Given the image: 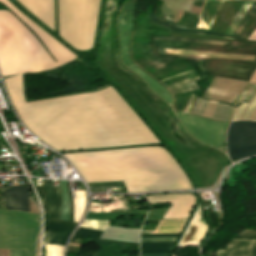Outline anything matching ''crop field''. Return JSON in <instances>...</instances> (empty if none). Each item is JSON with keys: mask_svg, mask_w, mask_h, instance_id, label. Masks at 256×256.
<instances>
[{"mask_svg": "<svg viewBox=\"0 0 256 256\" xmlns=\"http://www.w3.org/2000/svg\"><path fill=\"white\" fill-rule=\"evenodd\" d=\"M154 39L187 40V41H196V42L219 43V44H223V45L226 43V42L212 41V40H206V39H197V38L155 37Z\"/></svg>", "mask_w": 256, "mask_h": 256, "instance_id": "eef30255", "label": "crop field"}, {"mask_svg": "<svg viewBox=\"0 0 256 256\" xmlns=\"http://www.w3.org/2000/svg\"><path fill=\"white\" fill-rule=\"evenodd\" d=\"M177 236L141 238V241L175 240Z\"/></svg>", "mask_w": 256, "mask_h": 256, "instance_id": "bd1437ed", "label": "crop field"}, {"mask_svg": "<svg viewBox=\"0 0 256 256\" xmlns=\"http://www.w3.org/2000/svg\"><path fill=\"white\" fill-rule=\"evenodd\" d=\"M149 16H150V18H151V20L153 22L158 23L160 25H163L165 27H168V28L172 29V31L190 32V33H201V34L221 36V37H227V38H233L234 37V36H230V35L217 34V33H212V32H208V31H206V32H198V31H192V30H187V29H181V28L174 27L173 25H175V24L170 23V22H168L166 20H163V19H161L159 17L153 16V15H150V14H149ZM175 26H177V25H175ZM188 28H190V27H188Z\"/></svg>", "mask_w": 256, "mask_h": 256, "instance_id": "4a817a6b", "label": "crop field"}, {"mask_svg": "<svg viewBox=\"0 0 256 256\" xmlns=\"http://www.w3.org/2000/svg\"><path fill=\"white\" fill-rule=\"evenodd\" d=\"M225 78L220 77L217 84L213 88L212 92L209 95V98L214 99L215 95L217 94L219 88L221 87L222 83L224 82ZM235 80L226 78L225 82L223 83L221 89L219 90L218 94L216 95L215 99L224 100L225 96L229 92L230 88L234 84ZM247 82L236 80L235 84L231 88L230 92L225 98L227 102H233V100L238 96V94L244 89Z\"/></svg>", "mask_w": 256, "mask_h": 256, "instance_id": "d1516ede", "label": "crop field"}, {"mask_svg": "<svg viewBox=\"0 0 256 256\" xmlns=\"http://www.w3.org/2000/svg\"><path fill=\"white\" fill-rule=\"evenodd\" d=\"M102 231L89 228L80 227V229L74 234L75 237L84 238L86 236L99 238Z\"/></svg>", "mask_w": 256, "mask_h": 256, "instance_id": "a9b5d70f", "label": "crop field"}, {"mask_svg": "<svg viewBox=\"0 0 256 256\" xmlns=\"http://www.w3.org/2000/svg\"><path fill=\"white\" fill-rule=\"evenodd\" d=\"M219 77H214L211 85L209 86V88L207 89V91L205 92L204 96L208 97L209 93L211 92L212 88L214 87V85L216 84L217 80Z\"/></svg>", "mask_w": 256, "mask_h": 256, "instance_id": "d32e631a", "label": "crop field"}, {"mask_svg": "<svg viewBox=\"0 0 256 256\" xmlns=\"http://www.w3.org/2000/svg\"><path fill=\"white\" fill-rule=\"evenodd\" d=\"M64 155L87 182L123 180L128 192L192 188L168 151L158 146Z\"/></svg>", "mask_w": 256, "mask_h": 256, "instance_id": "ac0d7876", "label": "crop field"}, {"mask_svg": "<svg viewBox=\"0 0 256 256\" xmlns=\"http://www.w3.org/2000/svg\"><path fill=\"white\" fill-rule=\"evenodd\" d=\"M254 83V82H253ZM256 92V83H254L250 93L248 94V96L245 98V100L250 101V99L252 98V96L254 95V93Z\"/></svg>", "mask_w": 256, "mask_h": 256, "instance_id": "e1f06a70", "label": "crop field"}, {"mask_svg": "<svg viewBox=\"0 0 256 256\" xmlns=\"http://www.w3.org/2000/svg\"><path fill=\"white\" fill-rule=\"evenodd\" d=\"M256 120V119H255Z\"/></svg>", "mask_w": 256, "mask_h": 256, "instance_id": "1f2cbd36", "label": "crop field"}, {"mask_svg": "<svg viewBox=\"0 0 256 256\" xmlns=\"http://www.w3.org/2000/svg\"><path fill=\"white\" fill-rule=\"evenodd\" d=\"M146 197L151 204L171 203L164 218L188 217L195 204V196L190 193L148 195Z\"/></svg>", "mask_w": 256, "mask_h": 256, "instance_id": "d8731c3e", "label": "crop field"}, {"mask_svg": "<svg viewBox=\"0 0 256 256\" xmlns=\"http://www.w3.org/2000/svg\"><path fill=\"white\" fill-rule=\"evenodd\" d=\"M229 158L256 154V122L232 121L227 132Z\"/></svg>", "mask_w": 256, "mask_h": 256, "instance_id": "e52e79f7", "label": "crop field"}, {"mask_svg": "<svg viewBox=\"0 0 256 256\" xmlns=\"http://www.w3.org/2000/svg\"><path fill=\"white\" fill-rule=\"evenodd\" d=\"M255 116H256V108H255V110H254V112H253V114H252V116H251L250 119L254 120V119H255Z\"/></svg>", "mask_w": 256, "mask_h": 256, "instance_id": "5d738f31", "label": "crop field"}, {"mask_svg": "<svg viewBox=\"0 0 256 256\" xmlns=\"http://www.w3.org/2000/svg\"><path fill=\"white\" fill-rule=\"evenodd\" d=\"M251 80L256 82V72L254 73V75H253Z\"/></svg>", "mask_w": 256, "mask_h": 256, "instance_id": "25e5ab78", "label": "crop field"}, {"mask_svg": "<svg viewBox=\"0 0 256 256\" xmlns=\"http://www.w3.org/2000/svg\"><path fill=\"white\" fill-rule=\"evenodd\" d=\"M255 95H256V93H255ZM255 95H254V96H255ZM254 96H253V98H254ZM253 98H252V99H253ZM252 99H251V101H252ZM251 101H250V102H251ZM250 102L248 103V105L250 104ZM248 105L246 106L245 110L243 111V113H242V115H241L240 119L242 118V116H243L244 112L246 111V109H247Z\"/></svg>", "mask_w": 256, "mask_h": 256, "instance_id": "d23c7cc5", "label": "crop field"}, {"mask_svg": "<svg viewBox=\"0 0 256 256\" xmlns=\"http://www.w3.org/2000/svg\"><path fill=\"white\" fill-rule=\"evenodd\" d=\"M31 13L42 20L53 30L55 29L53 0H18Z\"/></svg>", "mask_w": 256, "mask_h": 256, "instance_id": "28ad6ade", "label": "crop field"}, {"mask_svg": "<svg viewBox=\"0 0 256 256\" xmlns=\"http://www.w3.org/2000/svg\"><path fill=\"white\" fill-rule=\"evenodd\" d=\"M216 103L217 102L210 100L203 114L212 117Z\"/></svg>", "mask_w": 256, "mask_h": 256, "instance_id": "750c4746", "label": "crop field"}, {"mask_svg": "<svg viewBox=\"0 0 256 256\" xmlns=\"http://www.w3.org/2000/svg\"><path fill=\"white\" fill-rule=\"evenodd\" d=\"M148 209H140V210H126V213H139L145 215ZM124 213V214H126Z\"/></svg>", "mask_w": 256, "mask_h": 256, "instance_id": "0bd39190", "label": "crop field"}, {"mask_svg": "<svg viewBox=\"0 0 256 256\" xmlns=\"http://www.w3.org/2000/svg\"><path fill=\"white\" fill-rule=\"evenodd\" d=\"M196 80H198L197 76L194 77V78L186 79L184 81L168 85L167 87L169 89L170 88H174V87H179V86H182V85H186V84H190V83H195L194 81H196ZM194 86H196V85L195 84H190V85L182 86V87L171 89V90L173 92V91H176V90H181V89H185V88H189V87H194ZM196 89H198V87H194V88H189V89L173 92V94H178V93L187 92V91L196 90Z\"/></svg>", "mask_w": 256, "mask_h": 256, "instance_id": "92a150f3", "label": "crop field"}, {"mask_svg": "<svg viewBox=\"0 0 256 256\" xmlns=\"http://www.w3.org/2000/svg\"><path fill=\"white\" fill-rule=\"evenodd\" d=\"M168 235H178V233H170V234H150V235H141V237H150V236H168Z\"/></svg>", "mask_w": 256, "mask_h": 256, "instance_id": "c035e120", "label": "crop field"}, {"mask_svg": "<svg viewBox=\"0 0 256 256\" xmlns=\"http://www.w3.org/2000/svg\"><path fill=\"white\" fill-rule=\"evenodd\" d=\"M6 208L29 212V198L27 186H10V190L3 189Z\"/></svg>", "mask_w": 256, "mask_h": 256, "instance_id": "22f410ed", "label": "crop field"}, {"mask_svg": "<svg viewBox=\"0 0 256 256\" xmlns=\"http://www.w3.org/2000/svg\"><path fill=\"white\" fill-rule=\"evenodd\" d=\"M174 241L141 242V253L168 252ZM168 253L141 254V256H167Z\"/></svg>", "mask_w": 256, "mask_h": 256, "instance_id": "5142ce71", "label": "crop field"}, {"mask_svg": "<svg viewBox=\"0 0 256 256\" xmlns=\"http://www.w3.org/2000/svg\"><path fill=\"white\" fill-rule=\"evenodd\" d=\"M65 245L45 243V256H62Z\"/></svg>", "mask_w": 256, "mask_h": 256, "instance_id": "dafd665d", "label": "crop field"}, {"mask_svg": "<svg viewBox=\"0 0 256 256\" xmlns=\"http://www.w3.org/2000/svg\"><path fill=\"white\" fill-rule=\"evenodd\" d=\"M175 113L192 136L224 151V131L228 122L206 119L189 113Z\"/></svg>", "mask_w": 256, "mask_h": 256, "instance_id": "dd49c442", "label": "crop field"}, {"mask_svg": "<svg viewBox=\"0 0 256 256\" xmlns=\"http://www.w3.org/2000/svg\"><path fill=\"white\" fill-rule=\"evenodd\" d=\"M100 0H58L59 33L77 49L92 47Z\"/></svg>", "mask_w": 256, "mask_h": 256, "instance_id": "412701ff", "label": "crop field"}, {"mask_svg": "<svg viewBox=\"0 0 256 256\" xmlns=\"http://www.w3.org/2000/svg\"><path fill=\"white\" fill-rule=\"evenodd\" d=\"M165 50H166L167 53H172V54L208 55V56H218V57H229V58H239V59L254 60V56H248V55H235V54L197 52V51H185V50H171V49H165Z\"/></svg>", "mask_w": 256, "mask_h": 256, "instance_id": "d9b57169", "label": "crop field"}, {"mask_svg": "<svg viewBox=\"0 0 256 256\" xmlns=\"http://www.w3.org/2000/svg\"><path fill=\"white\" fill-rule=\"evenodd\" d=\"M108 223L109 221L85 219L82 226L103 230L108 226Z\"/></svg>", "mask_w": 256, "mask_h": 256, "instance_id": "4177f3b9", "label": "crop field"}, {"mask_svg": "<svg viewBox=\"0 0 256 256\" xmlns=\"http://www.w3.org/2000/svg\"><path fill=\"white\" fill-rule=\"evenodd\" d=\"M200 99H201V98H198V97L196 98L195 104H194V106H193L192 109H191L192 112H195V110H196V108H197V106H198V103H199ZM208 101H209V100H207V99H201V101H200V103H199V106H198V108H197V110H196V113L202 114L203 111H204V109H205V107H206V105H207V103H208Z\"/></svg>", "mask_w": 256, "mask_h": 256, "instance_id": "ae1a2a85", "label": "crop field"}, {"mask_svg": "<svg viewBox=\"0 0 256 256\" xmlns=\"http://www.w3.org/2000/svg\"><path fill=\"white\" fill-rule=\"evenodd\" d=\"M90 187L98 186H122V181L88 183Z\"/></svg>", "mask_w": 256, "mask_h": 256, "instance_id": "d3111659", "label": "crop field"}, {"mask_svg": "<svg viewBox=\"0 0 256 256\" xmlns=\"http://www.w3.org/2000/svg\"><path fill=\"white\" fill-rule=\"evenodd\" d=\"M9 256H24V251L10 249V255Z\"/></svg>", "mask_w": 256, "mask_h": 256, "instance_id": "028f5c9d", "label": "crop field"}, {"mask_svg": "<svg viewBox=\"0 0 256 256\" xmlns=\"http://www.w3.org/2000/svg\"><path fill=\"white\" fill-rule=\"evenodd\" d=\"M121 215L122 213H89L87 218L111 220Z\"/></svg>", "mask_w": 256, "mask_h": 256, "instance_id": "730fd06b", "label": "crop field"}, {"mask_svg": "<svg viewBox=\"0 0 256 256\" xmlns=\"http://www.w3.org/2000/svg\"><path fill=\"white\" fill-rule=\"evenodd\" d=\"M136 0H127L121 9V12L118 17V29H119V41H120V56L122 62L129 69L137 72L141 78L145 80L148 87L159 95L161 98L166 100L170 106H173V98L172 95L168 92V90L160 84L158 81L154 80L142 70H140L134 62L131 60L128 54L129 40L132 29V19H133V9Z\"/></svg>", "mask_w": 256, "mask_h": 256, "instance_id": "f4fd0767", "label": "crop field"}, {"mask_svg": "<svg viewBox=\"0 0 256 256\" xmlns=\"http://www.w3.org/2000/svg\"><path fill=\"white\" fill-rule=\"evenodd\" d=\"M193 98H194V95L192 94L184 111L189 110L191 104L193 103Z\"/></svg>", "mask_w": 256, "mask_h": 256, "instance_id": "c21b1889", "label": "crop field"}, {"mask_svg": "<svg viewBox=\"0 0 256 256\" xmlns=\"http://www.w3.org/2000/svg\"><path fill=\"white\" fill-rule=\"evenodd\" d=\"M192 71V70H191ZM189 72V71H188ZM180 75V74H179ZM176 76V75H175ZM173 77V76H172ZM170 78V77H169ZM166 79H168V78H166ZM163 80H165V79H163ZM163 80H161V81H163Z\"/></svg>", "mask_w": 256, "mask_h": 256, "instance_id": "73cf0c24", "label": "crop field"}, {"mask_svg": "<svg viewBox=\"0 0 256 256\" xmlns=\"http://www.w3.org/2000/svg\"><path fill=\"white\" fill-rule=\"evenodd\" d=\"M245 106H246L245 103H242V104L240 105V107L237 109V111H236V113H235L233 119H238V118H239V116H240V114H241V112L243 111V109H244Z\"/></svg>", "mask_w": 256, "mask_h": 256, "instance_id": "5866460e", "label": "crop field"}, {"mask_svg": "<svg viewBox=\"0 0 256 256\" xmlns=\"http://www.w3.org/2000/svg\"><path fill=\"white\" fill-rule=\"evenodd\" d=\"M251 82L248 83L247 87L244 89L243 93L241 94V96L234 102L235 105H237L241 100L242 98L244 97L245 93L248 91V89L250 88L251 86Z\"/></svg>", "mask_w": 256, "mask_h": 256, "instance_id": "120bbe31", "label": "crop field"}, {"mask_svg": "<svg viewBox=\"0 0 256 256\" xmlns=\"http://www.w3.org/2000/svg\"><path fill=\"white\" fill-rule=\"evenodd\" d=\"M4 81L23 123L55 149L159 142L111 86L25 103L22 75Z\"/></svg>", "mask_w": 256, "mask_h": 256, "instance_id": "8a807250", "label": "crop field"}, {"mask_svg": "<svg viewBox=\"0 0 256 256\" xmlns=\"http://www.w3.org/2000/svg\"><path fill=\"white\" fill-rule=\"evenodd\" d=\"M255 34H256V29H255V31L250 35L249 39H252Z\"/></svg>", "mask_w": 256, "mask_h": 256, "instance_id": "425ffa30", "label": "crop field"}, {"mask_svg": "<svg viewBox=\"0 0 256 256\" xmlns=\"http://www.w3.org/2000/svg\"><path fill=\"white\" fill-rule=\"evenodd\" d=\"M255 106H256V96H255V98L253 99V101L251 102V104L249 105V107H248V109H247V111H246V113H245L243 119L249 120L250 115H251V113H252V111H253V109H254Z\"/></svg>", "mask_w": 256, "mask_h": 256, "instance_id": "1d83c4d3", "label": "crop field"}, {"mask_svg": "<svg viewBox=\"0 0 256 256\" xmlns=\"http://www.w3.org/2000/svg\"><path fill=\"white\" fill-rule=\"evenodd\" d=\"M59 185L63 195V211L61 219L68 220L69 218V205H70V197L67 189L66 181H59Z\"/></svg>", "mask_w": 256, "mask_h": 256, "instance_id": "214f88e0", "label": "crop field"}, {"mask_svg": "<svg viewBox=\"0 0 256 256\" xmlns=\"http://www.w3.org/2000/svg\"><path fill=\"white\" fill-rule=\"evenodd\" d=\"M234 110H235V107L232 106L231 112H230V115H229L228 119H232Z\"/></svg>", "mask_w": 256, "mask_h": 256, "instance_id": "b54c1fbb", "label": "crop field"}, {"mask_svg": "<svg viewBox=\"0 0 256 256\" xmlns=\"http://www.w3.org/2000/svg\"><path fill=\"white\" fill-rule=\"evenodd\" d=\"M76 198H73L74 203V220L76 222L80 221V218L84 212L86 193L85 190L74 191Z\"/></svg>", "mask_w": 256, "mask_h": 256, "instance_id": "733c2abd", "label": "crop field"}, {"mask_svg": "<svg viewBox=\"0 0 256 256\" xmlns=\"http://www.w3.org/2000/svg\"><path fill=\"white\" fill-rule=\"evenodd\" d=\"M255 8H256V4H255L254 7L252 8V10L250 11V13H249L248 16L246 17V19L244 20V22H245V21L247 20V18L252 14V12L255 10ZM248 19H249V18H248ZM244 22L241 24V26H240V28H239L237 34L239 33L240 29L242 28ZM245 23H246V22H245ZM237 34H236V36H237Z\"/></svg>", "mask_w": 256, "mask_h": 256, "instance_id": "03da06ac", "label": "crop field"}, {"mask_svg": "<svg viewBox=\"0 0 256 256\" xmlns=\"http://www.w3.org/2000/svg\"><path fill=\"white\" fill-rule=\"evenodd\" d=\"M239 236L256 237V231L245 230ZM216 256H256V240L234 238L225 251H216Z\"/></svg>", "mask_w": 256, "mask_h": 256, "instance_id": "3316defc", "label": "crop field"}, {"mask_svg": "<svg viewBox=\"0 0 256 256\" xmlns=\"http://www.w3.org/2000/svg\"><path fill=\"white\" fill-rule=\"evenodd\" d=\"M36 32L58 62H54L33 34L11 13L0 10V69L2 75L44 70L59 66L76 55L28 19L8 0H0Z\"/></svg>", "mask_w": 256, "mask_h": 256, "instance_id": "34b2d1b8", "label": "crop field"}, {"mask_svg": "<svg viewBox=\"0 0 256 256\" xmlns=\"http://www.w3.org/2000/svg\"><path fill=\"white\" fill-rule=\"evenodd\" d=\"M253 39H256V35H255V37Z\"/></svg>", "mask_w": 256, "mask_h": 256, "instance_id": "89e229c0", "label": "crop field"}, {"mask_svg": "<svg viewBox=\"0 0 256 256\" xmlns=\"http://www.w3.org/2000/svg\"><path fill=\"white\" fill-rule=\"evenodd\" d=\"M230 107L231 106L228 104L218 102L213 117L227 119L230 112Z\"/></svg>", "mask_w": 256, "mask_h": 256, "instance_id": "00972430", "label": "crop field"}, {"mask_svg": "<svg viewBox=\"0 0 256 256\" xmlns=\"http://www.w3.org/2000/svg\"><path fill=\"white\" fill-rule=\"evenodd\" d=\"M166 209H150L148 214L165 213Z\"/></svg>", "mask_w": 256, "mask_h": 256, "instance_id": "b80d0937", "label": "crop field"}, {"mask_svg": "<svg viewBox=\"0 0 256 256\" xmlns=\"http://www.w3.org/2000/svg\"><path fill=\"white\" fill-rule=\"evenodd\" d=\"M74 226L47 221L45 242L65 244Z\"/></svg>", "mask_w": 256, "mask_h": 256, "instance_id": "cbeb9de0", "label": "crop field"}, {"mask_svg": "<svg viewBox=\"0 0 256 256\" xmlns=\"http://www.w3.org/2000/svg\"><path fill=\"white\" fill-rule=\"evenodd\" d=\"M45 198H42L48 220L77 225L75 222L60 220L62 196L60 189L54 188L52 180H41Z\"/></svg>", "mask_w": 256, "mask_h": 256, "instance_id": "5a996713", "label": "crop field"}, {"mask_svg": "<svg viewBox=\"0 0 256 256\" xmlns=\"http://www.w3.org/2000/svg\"><path fill=\"white\" fill-rule=\"evenodd\" d=\"M184 220L161 221L156 233L179 232Z\"/></svg>", "mask_w": 256, "mask_h": 256, "instance_id": "bc2a9ffb", "label": "crop field"}]
</instances>
